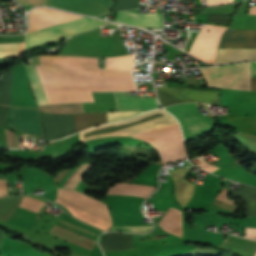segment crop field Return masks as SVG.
Listing matches in <instances>:
<instances>
[{
	"instance_id": "obj_1",
	"label": "crop field",
	"mask_w": 256,
	"mask_h": 256,
	"mask_svg": "<svg viewBox=\"0 0 256 256\" xmlns=\"http://www.w3.org/2000/svg\"><path fill=\"white\" fill-rule=\"evenodd\" d=\"M36 66L49 104L93 102L90 91H136L131 72L105 71L97 58L39 56Z\"/></svg>"
},
{
	"instance_id": "obj_2",
	"label": "crop field",
	"mask_w": 256,
	"mask_h": 256,
	"mask_svg": "<svg viewBox=\"0 0 256 256\" xmlns=\"http://www.w3.org/2000/svg\"><path fill=\"white\" fill-rule=\"evenodd\" d=\"M30 27L26 32V47L63 39L72 34L100 27L107 22L44 8L29 14Z\"/></svg>"
},
{
	"instance_id": "obj_3",
	"label": "crop field",
	"mask_w": 256,
	"mask_h": 256,
	"mask_svg": "<svg viewBox=\"0 0 256 256\" xmlns=\"http://www.w3.org/2000/svg\"><path fill=\"white\" fill-rule=\"evenodd\" d=\"M57 194L110 220V216L108 213V208L105 204L98 202L84 194H81L76 191L60 189L58 188ZM57 195L56 202L67 208L74 217L79 218L87 223H90L94 226H97L103 230L110 228L111 223L110 221L60 197Z\"/></svg>"
},
{
	"instance_id": "obj_4",
	"label": "crop field",
	"mask_w": 256,
	"mask_h": 256,
	"mask_svg": "<svg viewBox=\"0 0 256 256\" xmlns=\"http://www.w3.org/2000/svg\"><path fill=\"white\" fill-rule=\"evenodd\" d=\"M132 138L144 140L153 145L160 153L163 165L186 158L185 146L178 123L163 126Z\"/></svg>"
},
{
	"instance_id": "obj_5",
	"label": "crop field",
	"mask_w": 256,
	"mask_h": 256,
	"mask_svg": "<svg viewBox=\"0 0 256 256\" xmlns=\"http://www.w3.org/2000/svg\"><path fill=\"white\" fill-rule=\"evenodd\" d=\"M209 87L250 90L249 62L200 68Z\"/></svg>"
},
{
	"instance_id": "obj_6",
	"label": "crop field",
	"mask_w": 256,
	"mask_h": 256,
	"mask_svg": "<svg viewBox=\"0 0 256 256\" xmlns=\"http://www.w3.org/2000/svg\"><path fill=\"white\" fill-rule=\"evenodd\" d=\"M165 109L179 120L186 141L212 130V118L200 115L193 103L179 104Z\"/></svg>"
},
{
	"instance_id": "obj_7",
	"label": "crop field",
	"mask_w": 256,
	"mask_h": 256,
	"mask_svg": "<svg viewBox=\"0 0 256 256\" xmlns=\"http://www.w3.org/2000/svg\"><path fill=\"white\" fill-rule=\"evenodd\" d=\"M157 92L160 104L164 107L180 102L221 103L217 91L185 87H161L157 88Z\"/></svg>"
},
{
	"instance_id": "obj_8",
	"label": "crop field",
	"mask_w": 256,
	"mask_h": 256,
	"mask_svg": "<svg viewBox=\"0 0 256 256\" xmlns=\"http://www.w3.org/2000/svg\"><path fill=\"white\" fill-rule=\"evenodd\" d=\"M57 225L62 226L71 231H74L76 233H79L81 235H84L93 240H94L95 236L100 233L99 231H97L95 229H92L80 222H77V221L69 218L67 215H64L62 220L59 221V223ZM57 225L53 226V228L48 233L56 235L58 237H61L67 241L73 242L75 244H78V245L88 248L90 250H92V248L96 245L95 241L88 239L84 236H81L79 234H76L74 232H71L69 230H66Z\"/></svg>"
},
{
	"instance_id": "obj_9",
	"label": "crop field",
	"mask_w": 256,
	"mask_h": 256,
	"mask_svg": "<svg viewBox=\"0 0 256 256\" xmlns=\"http://www.w3.org/2000/svg\"><path fill=\"white\" fill-rule=\"evenodd\" d=\"M6 124L17 130L23 137L39 138L42 136L39 115L33 108L11 107Z\"/></svg>"
},
{
	"instance_id": "obj_10",
	"label": "crop field",
	"mask_w": 256,
	"mask_h": 256,
	"mask_svg": "<svg viewBox=\"0 0 256 256\" xmlns=\"http://www.w3.org/2000/svg\"><path fill=\"white\" fill-rule=\"evenodd\" d=\"M108 0H47V6L97 16L108 13L112 6Z\"/></svg>"
},
{
	"instance_id": "obj_11",
	"label": "crop field",
	"mask_w": 256,
	"mask_h": 256,
	"mask_svg": "<svg viewBox=\"0 0 256 256\" xmlns=\"http://www.w3.org/2000/svg\"><path fill=\"white\" fill-rule=\"evenodd\" d=\"M219 48L256 49V30H227Z\"/></svg>"
},
{
	"instance_id": "obj_12",
	"label": "crop field",
	"mask_w": 256,
	"mask_h": 256,
	"mask_svg": "<svg viewBox=\"0 0 256 256\" xmlns=\"http://www.w3.org/2000/svg\"><path fill=\"white\" fill-rule=\"evenodd\" d=\"M117 111L152 110L158 103L155 97L127 96V92H114Z\"/></svg>"
},
{
	"instance_id": "obj_13",
	"label": "crop field",
	"mask_w": 256,
	"mask_h": 256,
	"mask_svg": "<svg viewBox=\"0 0 256 256\" xmlns=\"http://www.w3.org/2000/svg\"><path fill=\"white\" fill-rule=\"evenodd\" d=\"M115 21L142 28H162L161 14H137L129 11H123L117 12Z\"/></svg>"
},
{
	"instance_id": "obj_14",
	"label": "crop field",
	"mask_w": 256,
	"mask_h": 256,
	"mask_svg": "<svg viewBox=\"0 0 256 256\" xmlns=\"http://www.w3.org/2000/svg\"><path fill=\"white\" fill-rule=\"evenodd\" d=\"M188 171L189 170L186 167L169 171L172 174L171 177L175 184L176 199L178 203L183 207H185V205L192 198L195 186L194 184L182 178Z\"/></svg>"
},
{
	"instance_id": "obj_15",
	"label": "crop field",
	"mask_w": 256,
	"mask_h": 256,
	"mask_svg": "<svg viewBox=\"0 0 256 256\" xmlns=\"http://www.w3.org/2000/svg\"><path fill=\"white\" fill-rule=\"evenodd\" d=\"M221 247L233 250L241 256H253L256 251V241L228 235L227 239L221 244Z\"/></svg>"
},
{
	"instance_id": "obj_16",
	"label": "crop field",
	"mask_w": 256,
	"mask_h": 256,
	"mask_svg": "<svg viewBox=\"0 0 256 256\" xmlns=\"http://www.w3.org/2000/svg\"><path fill=\"white\" fill-rule=\"evenodd\" d=\"M102 251H122L132 248V235L108 233L99 243Z\"/></svg>"
},
{
	"instance_id": "obj_17",
	"label": "crop field",
	"mask_w": 256,
	"mask_h": 256,
	"mask_svg": "<svg viewBox=\"0 0 256 256\" xmlns=\"http://www.w3.org/2000/svg\"><path fill=\"white\" fill-rule=\"evenodd\" d=\"M256 59V50L219 49L216 63Z\"/></svg>"
},
{
	"instance_id": "obj_18",
	"label": "crop field",
	"mask_w": 256,
	"mask_h": 256,
	"mask_svg": "<svg viewBox=\"0 0 256 256\" xmlns=\"http://www.w3.org/2000/svg\"><path fill=\"white\" fill-rule=\"evenodd\" d=\"M152 190L153 188L148 186L116 183L109 189L107 194H123L147 198Z\"/></svg>"
},
{
	"instance_id": "obj_19",
	"label": "crop field",
	"mask_w": 256,
	"mask_h": 256,
	"mask_svg": "<svg viewBox=\"0 0 256 256\" xmlns=\"http://www.w3.org/2000/svg\"><path fill=\"white\" fill-rule=\"evenodd\" d=\"M164 230L177 236L182 235V216L181 212L170 208L161 223L159 224Z\"/></svg>"
},
{
	"instance_id": "obj_20",
	"label": "crop field",
	"mask_w": 256,
	"mask_h": 256,
	"mask_svg": "<svg viewBox=\"0 0 256 256\" xmlns=\"http://www.w3.org/2000/svg\"><path fill=\"white\" fill-rule=\"evenodd\" d=\"M73 117L76 132L107 122L105 113L75 114Z\"/></svg>"
},
{
	"instance_id": "obj_21",
	"label": "crop field",
	"mask_w": 256,
	"mask_h": 256,
	"mask_svg": "<svg viewBox=\"0 0 256 256\" xmlns=\"http://www.w3.org/2000/svg\"><path fill=\"white\" fill-rule=\"evenodd\" d=\"M231 193L246 201V216H256V189L241 185L239 190Z\"/></svg>"
},
{
	"instance_id": "obj_22",
	"label": "crop field",
	"mask_w": 256,
	"mask_h": 256,
	"mask_svg": "<svg viewBox=\"0 0 256 256\" xmlns=\"http://www.w3.org/2000/svg\"><path fill=\"white\" fill-rule=\"evenodd\" d=\"M134 55L106 58V69L131 71Z\"/></svg>"
},
{
	"instance_id": "obj_23",
	"label": "crop field",
	"mask_w": 256,
	"mask_h": 256,
	"mask_svg": "<svg viewBox=\"0 0 256 256\" xmlns=\"http://www.w3.org/2000/svg\"><path fill=\"white\" fill-rule=\"evenodd\" d=\"M38 105L48 104L33 66L25 65Z\"/></svg>"
},
{
	"instance_id": "obj_24",
	"label": "crop field",
	"mask_w": 256,
	"mask_h": 256,
	"mask_svg": "<svg viewBox=\"0 0 256 256\" xmlns=\"http://www.w3.org/2000/svg\"><path fill=\"white\" fill-rule=\"evenodd\" d=\"M24 42L0 44V58L19 57L23 50Z\"/></svg>"
},
{
	"instance_id": "obj_25",
	"label": "crop field",
	"mask_w": 256,
	"mask_h": 256,
	"mask_svg": "<svg viewBox=\"0 0 256 256\" xmlns=\"http://www.w3.org/2000/svg\"><path fill=\"white\" fill-rule=\"evenodd\" d=\"M92 164L82 165L77 171L72 174L66 181L64 188L73 189L77 183L83 178V176L88 172Z\"/></svg>"
},
{
	"instance_id": "obj_26",
	"label": "crop field",
	"mask_w": 256,
	"mask_h": 256,
	"mask_svg": "<svg viewBox=\"0 0 256 256\" xmlns=\"http://www.w3.org/2000/svg\"><path fill=\"white\" fill-rule=\"evenodd\" d=\"M45 202L38 200V199H32L29 197L23 198L21 204L19 205L22 208L29 209L33 212H38L40 208L44 205Z\"/></svg>"
},
{
	"instance_id": "obj_27",
	"label": "crop field",
	"mask_w": 256,
	"mask_h": 256,
	"mask_svg": "<svg viewBox=\"0 0 256 256\" xmlns=\"http://www.w3.org/2000/svg\"><path fill=\"white\" fill-rule=\"evenodd\" d=\"M144 111L110 112L107 113L108 122L134 117Z\"/></svg>"
},
{
	"instance_id": "obj_28",
	"label": "crop field",
	"mask_w": 256,
	"mask_h": 256,
	"mask_svg": "<svg viewBox=\"0 0 256 256\" xmlns=\"http://www.w3.org/2000/svg\"><path fill=\"white\" fill-rule=\"evenodd\" d=\"M152 226H112L111 230L129 231V232H145L151 229Z\"/></svg>"
},
{
	"instance_id": "obj_29",
	"label": "crop field",
	"mask_w": 256,
	"mask_h": 256,
	"mask_svg": "<svg viewBox=\"0 0 256 256\" xmlns=\"http://www.w3.org/2000/svg\"><path fill=\"white\" fill-rule=\"evenodd\" d=\"M230 16L220 14H208L207 22H214L220 24H227Z\"/></svg>"
},
{
	"instance_id": "obj_30",
	"label": "crop field",
	"mask_w": 256,
	"mask_h": 256,
	"mask_svg": "<svg viewBox=\"0 0 256 256\" xmlns=\"http://www.w3.org/2000/svg\"><path fill=\"white\" fill-rule=\"evenodd\" d=\"M7 195V187L5 179H0V196Z\"/></svg>"
},
{
	"instance_id": "obj_31",
	"label": "crop field",
	"mask_w": 256,
	"mask_h": 256,
	"mask_svg": "<svg viewBox=\"0 0 256 256\" xmlns=\"http://www.w3.org/2000/svg\"><path fill=\"white\" fill-rule=\"evenodd\" d=\"M251 77H256V62H250Z\"/></svg>"
},
{
	"instance_id": "obj_32",
	"label": "crop field",
	"mask_w": 256,
	"mask_h": 256,
	"mask_svg": "<svg viewBox=\"0 0 256 256\" xmlns=\"http://www.w3.org/2000/svg\"><path fill=\"white\" fill-rule=\"evenodd\" d=\"M251 90L256 91V78H251Z\"/></svg>"
},
{
	"instance_id": "obj_33",
	"label": "crop field",
	"mask_w": 256,
	"mask_h": 256,
	"mask_svg": "<svg viewBox=\"0 0 256 256\" xmlns=\"http://www.w3.org/2000/svg\"><path fill=\"white\" fill-rule=\"evenodd\" d=\"M249 14H256V6L251 7Z\"/></svg>"
}]
</instances>
